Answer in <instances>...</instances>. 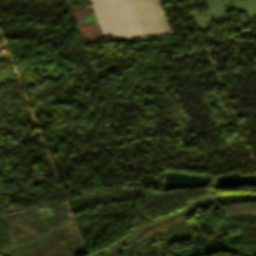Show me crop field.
<instances>
[{
	"mask_svg": "<svg viewBox=\"0 0 256 256\" xmlns=\"http://www.w3.org/2000/svg\"><path fill=\"white\" fill-rule=\"evenodd\" d=\"M106 39L172 35L158 0H91Z\"/></svg>",
	"mask_w": 256,
	"mask_h": 256,
	"instance_id": "8a807250",
	"label": "crop field"
}]
</instances>
